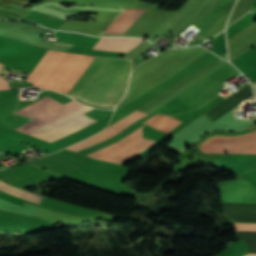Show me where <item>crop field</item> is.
Listing matches in <instances>:
<instances>
[{
  "mask_svg": "<svg viewBox=\"0 0 256 256\" xmlns=\"http://www.w3.org/2000/svg\"><path fill=\"white\" fill-rule=\"evenodd\" d=\"M2 67V64H0V69ZM9 85L8 82L0 78V89H8Z\"/></svg>",
  "mask_w": 256,
  "mask_h": 256,
  "instance_id": "obj_9",
  "label": "crop field"
},
{
  "mask_svg": "<svg viewBox=\"0 0 256 256\" xmlns=\"http://www.w3.org/2000/svg\"><path fill=\"white\" fill-rule=\"evenodd\" d=\"M253 87H254V90H255V94H256V84H254V85H253Z\"/></svg>",
  "mask_w": 256,
  "mask_h": 256,
  "instance_id": "obj_11",
  "label": "crop field"
},
{
  "mask_svg": "<svg viewBox=\"0 0 256 256\" xmlns=\"http://www.w3.org/2000/svg\"><path fill=\"white\" fill-rule=\"evenodd\" d=\"M59 44V43H58ZM65 45V44H64ZM71 46V45H70Z\"/></svg>",
  "mask_w": 256,
  "mask_h": 256,
  "instance_id": "obj_12",
  "label": "crop field"
},
{
  "mask_svg": "<svg viewBox=\"0 0 256 256\" xmlns=\"http://www.w3.org/2000/svg\"><path fill=\"white\" fill-rule=\"evenodd\" d=\"M78 106L80 105L74 101L62 105L45 97L16 112L17 114L35 118L34 120L16 129L31 135L46 125L50 124L51 122L55 121L56 119L72 111L73 109L77 108ZM89 109L91 108L82 105L76 110L43 128L42 130L36 132L32 136L49 142L67 136L95 121L82 114Z\"/></svg>",
  "mask_w": 256,
  "mask_h": 256,
  "instance_id": "obj_2",
  "label": "crop field"
},
{
  "mask_svg": "<svg viewBox=\"0 0 256 256\" xmlns=\"http://www.w3.org/2000/svg\"><path fill=\"white\" fill-rule=\"evenodd\" d=\"M141 129H142V126L136 131L132 132L131 134L127 135L126 137L118 141L117 143L110 145L106 148L100 149L98 151L89 153L87 154V156L106 161L107 159L111 158L115 154L129 148L135 142L140 140L142 138ZM154 142L155 141L143 138L140 141H138L136 144H134L132 147H130L128 150L114 156L108 161L121 164L129 160L131 157L145 150L146 148L151 146Z\"/></svg>",
  "mask_w": 256,
  "mask_h": 256,
  "instance_id": "obj_3",
  "label": "crop field"
},
{
  "mask_svg": "<svg viewBox=\"0 0 256 256\" xmlns=\"http://www.w3.org/2000/svg\"><path fill=\"white\" fill-rule=\"evenodd\" d=\"M0 190L4 191L6 193H9V194L18 196L20 198L32 201V202L37 203V204L39 203V201L41 199V196H38V195L33 194V193H30L28 191H23V190H21L19 188H16L14 186L6 184V183H4L2 181H0Z\"/></svg>",
  "mask_w": 256,
  "mask_h": 256,
  "instance_id": "obj_8",
  "label": "crop field"
},
{
  "mask_svg": "<svg viewBox=\"0 0 256 256\" xmlns=\"http://www.w3.org/2000/svg\"><path fill=\"white\" fill-rule=\"evenodd\" d=\"M92 56L48 50L26 80L64 93ZM132 60L93 56L65 94L99 106L115 107L125 95Z\"/></svg>",
  "mask_w": 256,
  "mask_h": 256,
  "instance_id": "obj_1",
  "label": "crop field"
},
{
  "mask_svg": "<svg viewBox=\"0 0 256 256\" xmlns=\"http://www.w3.org/2000/svg\"><path fill=\"white\" fill-rule=\"evenodd\" d=\"M145 11L124 9L103 33L124 34Z\"/></svg>",
  "mask_w": 256,
  "mask_h": 256,
  "instance_id": "obj_5",
  "label": "crop field"
},
{
  "mask_svg": "<svg viewBox=\"0 0 256 256\" xmlns=\"http://www.w3.org/2000/svg\"><path fill=\"white\" fill-rule=\"evenodd\" d=\"M199 149L208 153L256 154V133L242 138L215 137Z\"/></svg>",
  "mask_w": 256,
  "mask_h": 256,
  "instance_id": "obj_4",
  "label": "crop field"
},
{
  "mask_svg": "<svg viewBox=\"0 0 256 256\" xmlns=\"http://www.w3.org/2000/svg\"><path fill=\"white\" fill-rule=\"evenodd\" d=\"M159 116H155L152 119L144 122V123H149L152 120L156 119ZM181 121L170 117V116H161L157 118L156 120L152 121L151 123L147 124L157 130L163 131L165 133L169 132L171 129H173L175 126H177Z\"/></svg>",
  "mask_w": 256,
  "mask_h": 256,
  "instance_id": "obj_7",
  "label": "crop field"
},
{
  "mask_svg": "<svg viewBox=\"0 0 256 256\" xmlns=\"http://www.w3.org/2000/svg\"><path fill=\"white\" fill-rule=\"evenodd\" d=\"M143 39L135 38H101L93 49L115 52H127L138 45Z\"/></svg>",
  "mask_w": 256,
  "mask_h": 256,
  "instance_id": "obj_6",
  "label": "crop field"
},
{
  "mask_svg": "<svg viewBox=\"0 0 256 256\" xmlns=\"http://www.w3.org/2000/svg\"><path fill=\"white\" fill-rule=\"evenodd\" d=\"M243 256H256V254H247V255H243Z\"/></svg>",
  "mask_w": 256,
  "mask_h": 256,
  "instance_id": "obj_10",
  "label": "crop field"
}]
</instances>
